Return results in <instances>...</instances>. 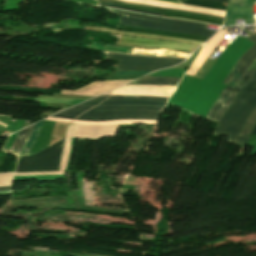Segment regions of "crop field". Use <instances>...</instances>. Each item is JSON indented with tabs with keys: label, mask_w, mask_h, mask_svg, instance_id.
<instances>
[{
	"label": "crop field",
	"mask_w": 256,
	"mask_h": 256,
	"mask_svg": "<svg viewBox=\"0 0 256 256\" xmlns=\"http://www.w3.org/2000/svg\"><path fill=\"white\" fill-rule=\"evenodd\" d=\"M255 106L256 72L229 105L227 111L221 118L215 134L231 136L228 142L235 143L248 115Z\"/></svg>",
	"instance_id": "8a807250"
},
{
	"label": "crop field",
	"mask_w": 256,
	"mask_h": 256,
	"mask_svg": "<svg viewBox=\"0 0 256 256\" xmlns=\"http://www.w3.org/2000/svg\"><path fill=\"white\" fill-rule=\"evenodd\" d=\"M109 10L115 14L123 15V16H127V17L141 18V19H147V20L164 22V23L180 24V25H185V26L164 24V23H157V22H149V21H142V20L119 17L120 25L150 28V29L192 34V35H200V36H207V37H211L215 33V31L204 29L206 27V24H202V23L182 21V20H173V19H163V18H156V17H151V16L138 15V14L124 12V11H117V10H111V9H109Z\"/></svg>",
	"instance_id": "ac0d7876"
},
{
	"label": "crop field",
	"mask_w": 256,
	"mask_h": 256,
	"mask_svg": "<svg viewBox=\"0 0 256 256\" xmlns=\"http://www.w3.org/2000/svg\"><path fill=\"white\" fill-rule=\"evenodd\" d=\"M43 121L36 124L21 156L29 155ZM64 140V139H63ZM63 140L31 156L21 157L16 172L58 170Z\"/></svg>",
	"instance_id": "34b2d1b8"
},
{
	"label": "crop field",
	"mask_w": 256,
	"mask_h": 256,
	"mask_svg": "<svg viewBox=\"0 0 256 256\" xmlns=\"http://www.w3.org/2000/svg\"><path fill=\"white\" fill-rule=\"evenodd\" d=\"M106 60H118L119 71H154L175 65L184 59L110 54Z\"/></svg>",
	"instance_id": "412701ff"
},
{
	"label": "crop field",
	"mask_w": 256,
	"mask_h": 256,
	"mask_svg": "<svg viewBox=\"0 0 256 256\" xmlns=\"http://www.w3.org/2000/svg\"><path fill=\"white\" fill-rule=\"evenodd\" d=\"M248 40L254 42L255 44L241 56V58L235 64L234 68L232 69L228 77L226 76L227 78L223 83H228V84L226 88L223 90V92L221 93V95L218 97V99L216 100L215 104L213 105L212 109L210 110V112L206 117L211 121L215 116L221 103L225 99L226 95L228 94V92L237 86V84L240 82L245 72L248 70L251 64L256 60V34H251Z\"/></svg>",
	"instance_id": "f4fd0767"
},
{
	"label": "crop field",
	"mask_w": 256,
	"mask_h": 256,
	"mask_svg": "<svg viewBox=\"0 0 256 256\" xmlns=\"http://www.w3.org/2000/svg\"><path fill=\"white\" fill-rule=\"evenodd\" d=\"M160 112L146 110L87 111L77 117L84 121H106L122 119L157 120Z\"/></svg>",
	"instance_id": "dd49c442"
},
{
	"label": "crop field",
	"mask_w": 256,
	"mask_h": 256,
	"mask_svg": "<svg viewBox=\"0 0 256 256\" xmlns=\"http://www.w3.org/2000/svg\"><path fill=\"white\" fill-rule=\"evenodd\" d=\"M97 1L112 3V4H117V5H123V6L143 9V10L158 11V12H162L161 16H164V17L184 18V19H189V20H193V21L216 24V25H220V26H222V24H223V18L202 15V14L187 12V11H183V10L163 9V8H159V7L123 2V1H118V0H97Z\"/></svg>",
	"instance_id": "e52e79f7"
},
{
	"label": "crop field",
	"mask_w": 256,
	"mask_h": 256,
	"mask_svg": "<svg viewBox=\"0 0 256 256\" xmlns=\"http://www.w3.org/2000/svg\"><path fill=\"white\" fill-rule=\"evenodd\" d=\"M118 45L134 46V47H147V48H160L170 50H183L192 52L197 45L175 43V42H161L153 40L134 39L130 37L121 36Z\"/></svg>",
	"instance_id": "d8731c3e"
},
{
	"label": "crop field",
	"mask_w": 256,
	"mask_h": 256,
	"mask_svg": "<svg viewBox=\"0 0 256 256\" xmlns=\"http://www.w3.org/2000/svg\"><path fill=\"white\" fill-rule=\"evenodd\" d=\"M236 17H246V24L254 23L252 7L228 6L224 26L235 25Z\"/></svg>",
	"instance_id": "5a996713"
},
{
	"label": "crop field",
	"mask_w": 256,
	"mask_h": 256,
	"mask_svg": "<svg viewBox=\"0 0 256 256\" xmlns=\"http://www.w3.org/2000/svg\"><path fill=\"white\" fill-rule=\"evenodd\" d=\"M256 71V61L253 63V65L250 67V69L247 71V73L244 75L241 82L238 84V86L231 92H229L228 96L224 100L223 104L219 108L216 116L213 119V122L219 121L220 117L224 113L225 109L228 107L232 99L236 96V94L245 86L246 82L249 80V78L253 75V73Z\"/></svg>",
	"instance_id": "3316defc"
},
{
	"label": "crop field",
	"mask_w": 256,
	"mask_h": 256,
	"mask_svg": "<svg viewBox=\"0 0 256 256\" xmlns=\"http://www.w3.org/2000/svg\"><path fill=\"white\" fill-rule=\"evenodd\" d=\"M116 28L121 29V30H127V31L141 32V33L168 36V37H176V38H183V39H191V40L205 41L208 39L207 37L192 36V35L164 32V31H157V30H149V29H140V28L123 27V26H116Z\"/></svg>",
	"instance_id": "28ad6ade"
},
{
	"label": "crop field",
	"mask_w": 256,
	"mask_h": 256,
	"mask_svg": "<svg viewBox=\"0 0 256 256\" xmlns=\"http://www.w3.org/2000/svg\"><path fill=\"white\" fill-rule=\"evenodd\" d=\"M180 78L153 77L146 76L138 81L132 82V85H174L176 86Z\"/></svg>",
	"instance_id": "d1516ede"
},
{
	"label": "crop field",
	"mask_w": 256,
	"mask_h": 256,
	"mask_svg": "<svg viewBox=\"0 0 256 256\" xmlns=\"http://www.w3.org/2000/svg\"><path fill=\"white\" fill-rule=\"evenodd\" d=\"M34 126L35 125H31L29 127H26L24 129L20 130L19 134L17 135V137L9 151L10 153L16 154L18 156V160L20 158V155L22 153L24 145H25L30 133L32 132Z\"/></svg>",
	"instance_id": "22f410ed"
},
{
	"label": "crop field",
	"mask_w": 256,
	"mask_h": 256,
	"mask_svg": "<svg viewBox=\"0 0 256 256\" xmlns=\"http://www.w3.org/2000/svg\"><path fill=\"white\" fill-rule=\"evenodd\" d=\"M83 29H93V30H102V31H112V32H114V33L126 34V35H131V36H141V37H151V38H159V39H168V40H178V41L193 42V43H198V44H202V43H203V42H199V41H191V40H183V39H176V38H168V37H161V36L140 34V33H133V32H122V31H117V30H112V29H107V28H102V27H95V26H83Z\"/></svg>",
	"instance_id": "cbeb9de0"
},
{
	"label": "crop field",
	"mask_w": 256,
	"mask_h": 256,
	"mask_svg": "<svg viewBox=\"0 0 256 256\" xmlns=\"http://www.w3.org/2000/svg\"><path fill=\"white\" fill-rule=\"evenodd\" d=\"M166 103L162 102H146V101H105L100 105H148L164 107Z\"/></svg>",
	"instance_id": "5142ce71"
},
{
	"label": "crop field",
	"mask_w": 256,
	"mask_h": 256,
	"mask_svg": "<svg viewBox=\"0 0 256 256\" xmlns=\"http://www.w3.org/2000/svg\"><path fill=\"white\" fill-rule=\"evenodd\" d=\"M182 4L200 6V7L212 8V9H219V10H224V11L226 8V5H224V4L202 1V0H187V1L183 2Z\"/></svg>",
	"instance_id": "d9b57169"
},
{
	"label": "crop field",
	"mask_w": 256,
	"mask_h": 256,
	"mask_svg": "<svg viewBox=\"0 0 256 256\" xmlns=\"http://www.w3.org/2000/svg\"><path fill=\"white\" fill-rule=\"evenodd\" d=\"M107 100H149L166 102L168 98L150 96H110Z\"/></svg>",
	"instance_id": "733c2abd"
},
{
	"label": "crop field",
	"mask_w": 256,
	"mask_h": 256,
	"mask_svg": "<svg viewBox=\"0 0 256 256\" xmlns=\"http://www.w3.org/2000/svg\"><path fill=\"white\" fill-rule=\"evenodd\" d=\"M109 109H147L162 111L160 107H147V106H96L91 110H109Z\"/></svg>",
	"instance_id": "4a817a6b"
},
{
	"label": "crop field",
	"mask_w": 256,
	"mask_h": 256,
	"mask_svg": "<svg viewBox=\"0 0 256 256\" xmlns=\"http://www.w3.org/2000/svg\"><path fill=\"white\" fill-rule=\"evenodd\" d=\"M255 123H256V108L253 110V112L248 117V119H247L241 133L239 134V136L250 134L253 126L255 125Z\"/></svg>",
	"instance_id": "bc2a9ffb"
},
{
	"label": "crop field",
	"mask_w": 256,
	"mask_h": 256,
	"mask_svg": "<svg viewBox=\"0 0 256 256\" xmlns=\"http://www.w3.org/2000/svg\"><path fill=\"white\" fill-rule=\"evenodd\" d=\"M83 112H85V111L67 109V110L60 112L58 114H55L53 116L74 119L75 117H77L79 114H81Z\"/></svg>",
	"instance_id": "214f88e0"
},
{
	"label": "crop field",
	"mask_w": 256,
	"mask_h": 256,
	"mask_svg": "<svg viewBox=\"0 0 256 256\" xmlns=\"http://www.w3.org/2000/svg\"><path fill=\"white\" fill-rule=\"evenodd\" d=\"M99 6H105V7H110V8H115V9H120V10H126V11H131V12H136V13H142V14H148V15H156L160 16L161 14L159 13H153V12H147V11H141V10H135V9H129V8H123L111 4H106V3H100L98 2Z\"/></svg>",
	"instance_id": "92a150f3"
},
{
	"label": "crop field",
	"mask_w": 256,
	"mask_h": 256,
	"mask_svg": "<svg viewBox=\"0 0 256 256\" xmlns=\"http://www.w3.org/2000/svg\"><path fill=\"white\" fill-rule=\"evenodd\" d=\"M140 76H142V75H138V76H112V77L106 79L105 81L136 79Z\"/></svg>",
	"instance_id": "dafd665d"
},
{
	"label": "crop field",
	"mask_w": 256,
	"mask_h": 256,
	"mask_svg": "<svg viewBox=\"0 0 256 256\" xmlns=\"http://www.w3.org/2000/svg\"><path fill=\"white\" fill-rule=\"evenodd\" d=\"M149 72H115V75H138V74H147Z\"/></svg>",
	"instance_id": "00972430"
},
{
	"label": "crop field",
	"mask_w": 256,
	"mask_h": 256,
	"mask_svg": "<svg viewBox=\"0 0 256 256\" xmlns=\"http://www.w3.org/2000/svg\"><path fill=\"white\" fill-rule=\"evenodd\" d=\"M243 0H229L228 5L242 6Z\"/></svg>",
	"instance_id": "a9b5d70f"
},
{
	"label": "crop field",
	"mask_w": 256,
	"mask_h": 256,
	"mask_svg": "<svg viewBox=\"0 0 256 256\" xmlns=\"http://www.w3.org/2000/svg\"><path fill=\"white\" fill-rule=\"evenodd\" d=\"M94 106H82V105H77L75 107H73L72 109H81V110H88L90 108H92Z\"/></svg>",
	"instance_id": "4177f3b9"
},
{
	"label": "crop field",
	"mask_w": 256,
	"mask_h": 256,
	"mask_svg": "<svg viewBox=\"0 0 256 256\" xmlns=\"http://www.w3.org/2000/svg\"><path fill=\"white\" fill-rule=\"evenodd\" d=\"M256 0H244L243 6H253V4L255 3Z\"/></svg>",
	"instance_id": "730fd06b"
},
{
	"label": "crop field",
	"mask_w": 256,
	"mask_h": 256,
	"mask_svg": "<svg viewBox=\"0 0 256 256\" xmlns=\"http://www.w3.org/2000/svg\"><path fill=\"white\" fill-rule=\"evenodd\" d=\"M11 192V186L0 187V193Z\"/></svg>",
	"instance_id": "eef30255"
},
{
	"label": "crop field",
	"mask_w": 256,
	"mask_h": 256,
	"mask_svg": "<svg viewBox=\"0 0 256 256\" xmlns=\"http://www.w3.org/2000/svg\"><path fill=\"white\" fill-rule=\"evenodd\" d=\"M101 101H87L85 103H82L83 105H97L99 104Z\"/></svg>",
	"instance_id": "ae1a2a85"
},
{
	"label": "crop field",
	"mask_w": 256,
	"mask_h": 256,
	"mask_svg": "<svg viewBox=\"0 0 256 256\" xmlns=\"http://www.w3.org/2000/svg\"><path fill=\"white\" fill-rule=\"evenodd\" d=\"M108 96H100V97H98V98H96V99H93V100H104V99H106Z\"/></svg>",
	"instance_id": "d3111659"
},
{
	"label": "crop field",
	"mask_w": 256,
	"mask_h": 256,
	"mask_svg": "<svg viewBox=\"0 0 256 256\" xmlns=\"http://www.w3.org/2000/svg\"><path fill=\"white\" fill-rule=\"evenodd\" d=\"M211 1H218V2H224L227 3L228 0H211Z\"/></svg>",
	"instance_id": "750c4746"
},
{
	"label": "crop field",
	"mask_w": 256,
	"mask_h": 256,
	"mask_svg": "<svg viewBox=\"0 0 256 256\" xmlns=\"http://www.w3.org/2000/svg\"><path fill=\"white\" fill-rule=\"evenodd\" d=\"M251 134H256V125L254 126V128H253Z\"/></svg>",
	"instance_id": "bd1437ed"
}]
</instances>
